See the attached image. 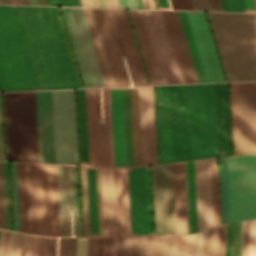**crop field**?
I'll list each match as a JSON object with an SVG mask.
<instances>
[{
	"label": "crop field",
	"mask_w": 256,
	"mask_h": 256,
	"mask_svg": "<svg viewBox=\"0 0 256 256\" xmlns=\"http://www.w3.org/2000/svg\"><path fill=\"white\" fill-rule=\"evenodd\" d=\"M160 164L219 156L215 84L155 86Z\"/></svg>",
	"instance_id": "crop-field-1"
},
{
	"label": "crop field",
	"mask_w": 256,
	"mask_h": 256,
	"mask_svg": "<svg viewBox=\"0 0 256 256\" xmlns=\"http://www.w3.org/2000/svg\"><path fill=\"white\" fill-rule=\"evenodd\" d=\"M143 166L157 164L152 86L138 87ZM112 166H142L137 87L108 88Z\"/></svg>",
	"instance_id": "crop-field-2"
},
{
	"label": "crop field",
	"mask_w": 256,
	"mask_h": 256,
	"mask_svg": "<svg viewBox=\"0 0 256 256\" xmlns=\"http://www.w3.org/2000/svg\"><path fill=\"white\" fill-rule=\"evenodd\" d=\"M16 7L39 88H80L57 7Z\"/></svg>",
	"instance_id": "crop-field-3"
},
{
	"label": "crop field",
	"mask_w": 256,
	"mask_h": 256,
	"mask_svg": "<svg viewBox=\"0 0 256 256\" xmlns=\"http://www.w3.org/2000/svg\"><path fill=\"white\" fill-rule=\"evenodd\" d=\"M20 232L60 236L56 165L16 163Z\"/></svg>",
	"instance_id": "crop-field-4"
},
{
	"label": "crop field",
	"mask_w": 256,
	"mask_h": 256,
	"mask_svg": "<svg viewBox=\"0 0 256 256\" xmlns=\"http://www.w3.org/2000/svg\"><path fill=\"white\" fill-rule=\"evenodd\" d=\"M209 13L228 80H256V14Z\"/></svg>",
	"instance_id": "crop-field-5"
},
{
	"label": "crop field",
	"mask_w": 256,
	"mask_h": 256,
	"mask_svg": "<svg viewBox=\"0 0 256 256\" xmlns=\"http://www.w3.org/2000/svg\"><path fill=\"white\" fill-rule=\"evenodd\" d=\"M94 13L115 85H130L123 61L118 54H127L128 60L125 61L132 84L148 85L126 11L94 9Z\"/></svg>",
	"instance_id": "crop-field-6"
},
{
	"label": "crop field",
	"mask_w": 256,
	"mask_h": 256,
	"mask_svg": "<svg viewBox=\"0 0 256 256\" xmlns=\"http://www.w3.org/2000/svg\"><path fill=\"white\" fill-rule=\"evenodd\" d=\"M11 7L0 6V88L38 90L16 10Z\"/></svg>",
	"instance_id": "crop-field-7"
},
{
	"label": "crop field",
	"mask_w": 256,
	"mask_h": 256,
	"mask_svg": "<svg viewBox=\"0 0 256 256\" xmlns=\"http://www.w3.org/2000/svg\"><path fill=\"white\" fill-rule=\"evenodd\" d=\"M7 160L38 162L34 92L3 93Z\"/></svg>",
	"instance_id": "crop-field-8"
},
{
	"label": "crop field",
	"mask_w": 256,
	"mask_h": 256,
	"mask_svg": "<svg viewBox=\"0 0 256 256\" xmlns=\"http://www.w3.org/2000/svg\"><path fill=\"white\" fill-rule=\"evenodd\" d=\"M231 222L256 217V153L227 157Z\"/></svg>",
	"instance_id": "crop-field-9"
},
{
	"label": "crop field",
	"mask_w": 256,
	"mask_h": 256,
	"mask_svg": "<svg viewBox=\"0 0 256 256\" xmlns=\"http://www.w3.org/2000/svg\"><path fill=\"white\" fill-rule=\"evenodd\" d=\"M234 154L256 152V82L230 83Z\"/></svg>",
	"instance_id": "crop-field-10"
},
{
	"label": "crop field",
	"mask_w": 256,
	"mask_h": 256,
	"mask_svg": "<svg viewBox=\"0 0 256 256\" xmlns=\"http://www.w3.org/2000/svg\"><path fill=\"white\" fill-rule=\"evenodd\" d=\"M56 163L78 164L74 90L51 91Z\"/></svg>",
	"instance_id": "crop-field-11"
},
{
	"label": "crop field",
	"mask_w": 256,
	"mask_h": 256,
	"mask_svg": "<svg viewBox=\"0 0 256 256\" xmlns=\"http://www.w3.org/2000/svg\"><path fill=\"white\" fill-rule=\"evenodd\" d=\"M161 12H162V16L164 19V23L166 26V30L168 33V37L170 40V44L173 50V54L175 57V61L178 67V71H179L182 83H196L197 81L206 82L203 71H202V67L199 61V57L197 54V50L194 44V40L192 37V33L189 27V23L186 17V13L177 11L180 22H181V26L183 29V33L185 36V40L188 46V50L190 53V57L192 60V64L195 70L197 81L193 71L189 53L186 47L182 29L179 23L177 12L176 11H161Z\"/></svg>",
	"instance_id": "crop-field-12"
},
{
	"label": "crop field",
	"mask_w": 256,
	"mask_h": 256,
	"mask_svg": "<svg viewBox=\"0 0 256 256\" xmlns=\"http://www.w3.org/2000/svg\"><path fill=\"white\" fill-rule=\"evenodd\" d=\"M84 87H104L81 8L60 7Z\"/></svg>",
	"instance_id": "crop-field-13"
},
{
	"label": "crop field",
	"mask_w": 256,
	"mask_h": 256,
	"mask_svg": "<svg viewBox=\"0 0 256 256\" xmlns=\"http://www.w3.org/2000/svg\"><path fill=\"white\" fill-rule=\"evenodd\" d=\"M128 180L131 232H136V235L148 234V231H152L149 170H144V167L132 169V172H128Z\"/></svg>",
	"instance_id": "crop-field-14"
},
{
	"label": "crop field",
	"mask_w": 256,
	"mask_h": 256,
	"mask_svg": "<svg viewBox=\"0 0 256 256\" xmlns=\"http://www.w3.org/2000/svg\"><path fill=\"white\" fill-rule=\"evenodd\" d=\"M98 96L103 124H95L97 118L95 89H88L92 165L111 166L107 88L98 89Z\"/></svg>",
	"instance_id": "crop-field-15"
},
{
	"label": "crop field",
	"mask_w": 256,
	"mask_h": 256,
	"mask_svg": "<svg viewBox=\"0 0 256 256\" xmlns=\"http://www.w3.org/2000/svg\"><path fill=\"white\" fill-rule=\"evenodd\" d=\"M61 236H71L70 213L74 207V236H81L77 166L57 165Z\"/></svg>",
	"instance_id": "crop-field-16"
},
{
	"label": "crop field",
	"mask_w": 256,
	"mask_h": 256,
	"mask_svg": "<svg viewBox=\"0 0 256 256\" xmlns=\"http://www.w3.org/2000/svg\"><path fill=\"white\" fill-rule=\"evenodd\" d=\"M155 234L175 233L171 164L152 167Z\"/></svg>",
	"instance_id": "crop-field-17"
},
{
	"label": "crop field",
	"mask_w": 256,
	"mask_h": 256,
	"mask_svg": "<svg viewBox=\"0 0 256 256\" xmlns=\"http://www.w3.org/2000/svg\"><path fill=\"white\" fill-rule=\"evenodd\" d=\"M142 14L161 83L180 82L163 23L155 22L152 10Z\"/></svg>",
	"instance_id": "crop-field-18"
},
{
	"label": "crop field",
	"mask_w": 256,
	"mask_h": 256,
	"mask_svg": "<svg viewBox=\"0 0 256 256\" xmlns=\"http://www.w3.org/2000/svg\"><path fill=\"white\" fill-rule=\"evenodd\" d=\"M207 82L224 81L204 12H186Z\"/></svg>",
	"instance_id": "crop-field-19"
},
{
	"label": "crop field",
	"mask_w": 256,
	"mask_h": 256,
	"mask_svg": "<svg viewBox=\"0 0 256 256\" xmlns=\"http://www.w3.org/2000/svg\"><path fill=\"white\" fill-rule=\"evenodd\" d=\"M39 162L55 163L50 91L35 92Z\"/></svg>",
	"instance_id": "crop-field-20"
},
{
	"label": "crop field",
	"mask_w": 256,
	"mask_h": 256,
	"mask_svg": "<svg viewBox=\"0 0 256 256\" xmlns=\"http://www.w3.org/2000/svg\"><path fill=\"white\" fill-rule=\"evenodd\" d=\"M198 231L212 228L209 159L194 161Z\"/></svg>",
	"instance_id": "crop-field-21"
},
{
	"label": "crop field",
	"mask_w": 256,
	"mask_h": 256,
	"mask_svg": "<svg viewBox=\"0 0 256 256\" xmlns=\"http://www.w3.org/2000/svg\"><path fill=\"white\" fill-rule=\"evenodd\" d=\"M104 236L119 235L115 168L100 167Z\"/></svg>",
	"instance_id": "crop-field-22"
},
{
	"label": "crop field",
	"mask_w": 256,
	"mask_h": 256,
	"mask_svg": "<svg viewBox=\"0 0 256 256\" xmlns=\"http://www.w3.org/2000/svg\"><path fill=\"white\" fill-rule=\"evenodd\" d=\"M220 156L231 155L227 83L216 84Z\"/></svg>",
	"instance_id": "crop-field-23"
},
{
	"label": "crop field",
	"mask_w": 256,
	"mask_h": 256,
	"mask_svg": "<svg viewBox=\"0 0 256 256\" xmlns=\"http://www.w3.org/2000/svg\"><path fill=\"white\" fill-rule=\"evenodd\" d=\"M176 233H187L183 163L172 164Z\"/></svg>",
	"instance_id": "crop-field-24"
},
{
	"label": "crop field",
	"mask_w": 256,
	"mask_h": 256,
	"mask_svg": "<svg viewBox=\"0 0 256 256\" xmlns=\"http://www.w3.org/2000/svg\"><path fill=\"white\" fill-rule=\"evenodd\" d=\"M154 235L118 237L117 256H153Z\"/></svg>",
	"instance_id": "crop-field-25"
},
{
	"label": "crop field",
	"mask_w": 256,
	"mask_h": 256,
	"mask_svg": "<svg viewBox=\"0 0 256 256\" xmlns=\"http://www.w3.org/2000/svg\"><path fill=\"white\" fill-rule=\"evenodd\" d=\"M87 169H95V167H87ZM87 175L91 233H99L95 170H87ZM91 236H99V234H91Z\"/></svg>",
	"instance_id": "crop-field-26"
},
{
	"label": "crop field",
	"mask_w": 256,
	"mask_h": 256,
	"mask_svg": "<svg viewBox=\"0 0 256 256\" xmlns=\"http://www.w3.org/2000/svg\"><path fill=\"white\" fill-rule=\"evenodd\" d=\"M226 225L208 230L207 256H225Z\"/></svg>",
	"instance_id": "crop-field-27"
},
{
	"label": "crop field",
	"mask_w": 256,
	"mask_h": 256,
	"mask_svg": "<svg viewBox=\"0 0 256 256\" xmlns=\"http://www.w3.org/2000/svg\"><path fill=\"white\" fill-rule=\"evenodd\" d=\"M81 159L88 160L84 90H77Z\"/></svg>",
	"instance_id": "crop-field-28"
},
{
	"label": "crop field",
	"mask_w": 256,
	"mask_h": 256,
	"mask_svg": "<svg viewBox=\"0 0 256 256\" xmlns=\"http://www.w3.org/2000/svg\"><path fill=\"white\" fill-rule=\"evenodd\" d=\"M5 229L12 230L8 162H1Z\"/></svg>",
	"instance_id": "crop-field-29"
},
{
	"label": "crop field",
	"mask_w": 256,
	"mask_h": 256,
	"mask_svg": "<svg viewBox=\"0 0 256 256\" xmlns=\"http://www.w3.org/2000/svg\"><path fill=\"white\" fill-rule=\"evenodd\" d=\"M223 224L230 222L226 157L219 158Z\"/></svg>",
	"instance_id": "crop-field-30"
},
{
	"label": "crop field",
	"mask_w": 256,
	"mask_h": 256,
	"mask_svg": "<svg viewBox=\"0 0 256 256\" xmlns=\"http://www.w3.org/2000/svg\"><path fill=\"white\" fill-rule=\"evenodd\" d=\"M193 234L171 235L170 256H192Z\"/></svg>",
	"instance_id": "crop-field-31"
},
{
	"label": "crop field",
	"mask_w": 256,
	"mask_h": 256,
	"mask_svg": "<svg viewBox=\"0 0 256 256\" xmlns=\"http://www.w3.org/2000/svg\"><path fill=\"white\" fill-rule=\"evenodd\" d=\"M120 235H127L123 169L116 168Z\"/></svg>",
	"instance_id": "crop-field-32"
},
{
	"label": "crop field",
	"mask_w": 256,
	"mask_h": 256,
	"mask_svg": "<svg viewBox=\"0 0 256 256\" xmlns=\"http://www.w3.org/2000/svg\"><path fill=\"white\" fill-rule=\"evenodd\" d=\"M241 222L227 225L226 256H240Z\"/></svg>",
	"instance_id": "crop-field-33"
},
{
	"label": "crop field",
	"mask_w": 256,
	"mask_h": 256,
	"mask_svg": "<svg viewBox=\"0 0 256 256\" xmlns=\"http://www.w3.org/2000/svg\"><path fill=\"white\" fill-rule=\"evenodd\" d=\"M57 237L39 236L38 256H56ZM64 238L60 237L59 256H63Z\"/></svg>",
	"instance_id": "crop-field-34"
},
{
	"label": "crop field",
	"mask_w": 256,
	"mask_h": 256,
	"mask_svg": "<svg viewBox=\"0 0 256 256\" xmlns=\"http://www.w3.org/2000/svg\"><path fill=\"white\" fill-rule=\"evenodd\" d=\"M191 232L197 230L193 161L187 162Z\"/></svg>",
	"instance_id": "crop-field-35"
},
{
	"label": "crop field",
	"mask_w": 256,
	"mask_h": 256,
	"mask_svg": "<svg viewBox=\"0 0 256 256\" xmlns=\"http://www.w3.org/2000/svg\"><path fill=\"white\" fill-rule=\"evenodd\" d=\"M128 11H129L130 18H131V21H132V24H133V28H134V31H135V34H136V38H137V41H138V44H139V48H140V51H141V54H142V57H143V61H144L145 67H146V71H147V74H148V77H149L150 84L151 85L156 84L153 73H152V69H151V66H150V62H149V59H148V56H147V52H146V49H145V45H144V42H143V38H142V35H141V32H140L138 21H137L136 15H135V11L134 10H128Z\"/></svg>",
	"instance_id": "crop-field-36"
},
{
	"label": "crop field",
	"mask_w": 256,
	"mask_h": 256,
	"mask_svg": "<svg viewBox=\"0 0 256 256\" xmlns=\"http://www.w3.org/2000/svg\"><path fill=\"white\" fill-rule=\"evenodd\" d=\"M84 236H90L86 167L80 166Z\"/></svg>",
	"instance_id": "crop-field-37"
},
{
	"label": "crop field",
	"mask_w": 256,
	"mask_h": 256,
	"mask_svg": "<svg viewBox=\"0 0 256 256\" xmlns=\"http://www.w3.org/2000/svg\"><path fill=\"white\" fill-rule=\"evenodd\" d=\"M214 227L220 225L216 159H210Z\"/></svg>",
	"instance_id": "crop-field-38"
},
{
	"label": "crop field",
	"mask_w": 256,
	"mask_h": 256,
	"mask_svg": "<svg viewBox=\"0 0 256 256\" xmlns=\"http://www.w3.org/2000/svg\"><path fill=\"white\" fill-rule=\"evenodd\" d=\"M10 256H28V235L11 232Z\"/></svg>",
	"instance_id": "crop-field-39"
},
{
	"label": "crop field",
	"mask_w": 256,
	"mask_h": 256,
	"mask_svg": "<svg viewBox=\"0 0 256 256\" xmlns=\"http://www.w3.org/2000/svg\"><path fill=\"white\" fill-rule=\"evenodd\" d=\"M110 86H115L92 8H87Z\"/></svg>",
	"instance_id": "crop-field-40"
},
{
	"label": "crop field",
	"mask_w": 256,
	"mask_h": 256,
	"mask_svg": "<svg viewBox=\"0 0 256 256\" xmlns=\"http://www.w3.org/2000/svg\"><path fill=\"white\" fill-rule=\"evenodd\" d=\"M82 9H83V13H84L85 20H86V23H87V27H88V30H89V34H90V37H91V41H92V44H93V47H94V51H95V54H96V58H97V61H98V65H99V68H100L102 79H103V82H104V86L107 87V86H109L108 81H107L106 74H105V71H104V68H103V64H102L101 57H100V54H99V50H98V47H97V44H96V40H95V37H94L92 26H91V23H90V20H89L87 9L86 8H82Z\"/></svg>",
	"instance_id": "crop-field-41"
},
{
	"label": "crop field",
	"mask_w": 256,
	"mask_h": 256,
	"mask_svg": "<svg viewBox=\"0 0 256 256\" xmlns=\"http://www.w3.org/2000/svg\"><path fill=\"white\" fill-rule=\"evenodd\" d=\"M250 220L242 222L241 256H249Z\"/></svg>",
	"instance_id": "crop-field-42"
},
{
	"label": "crop field",
	"mask_w": 256,
	"mask_h": 256,
	"mask_svg": "<svg viewBox=\"0 0 256 256\" xmlns=\"http://www.w3.org/2000/svg\"><path fill=\"white\" fill-rule=\"evenodd\" d=\"M15 231L19 232L15 163L11 162Z\"/></svg>",
	"instance_id": "crop-field-43"
},
{
	"label": "crop field",
	"mask_w": 256,
	"mask_h": 256,
	"mask_svg": "<svg viewBox=\"0 0 256 256\" xmlns=\"http://www.w3.org/2000/svg\"><path fill=\"white\" fill-rule=\"evenodd\" d=\"M136 14H137L139 25H140L142 35H143V38H144L146 49H147V52H148V55H149V59H150V62H151L153 73H154V76H155V79H156V83L160 84L159 78H158V75H157V71H156V68H155L154 60H153V57H152V53H151V50H150V46H149V43H148V39H147V36H146L145 28H144V25H143V21H142V18H141V14L140 13H136Z\"/></svg>",
	"instance_id": "crop-field-44"
},
{
	"label": "crop field",
	"mask_w": 256,
	"mask_h": 256,
	"mask_svg": "<svg viewBox=\"0 0 256 256\" xmlns=\"http://www.w3.org/2000/svg\"><path fill=\"white\" fill-rule=\"evenodd\" d=\"M207 230L198 233L197 256H206Z\"/></svg>",
	"instance_id": "crop-field-45"
},
{
	"label": "crop field",
	"mask_w": 256,
	"mask_h": 256,
	"mask_svg": "<svg viewBox=\"0 0 256 256\" xmlns=\"http://www.w3.org/2000/svg\"><path fill=\"white\" fill-rule=\"evenodd\" d=\"M224 11H244L241 0H221Z\"/></svg>",
	"instance_id": "crop-field-46"
},
{
	"label": "crop field",
	"mask_w": 256,
	"mask_h": 256,
	"mask_svg": "<svg viewBox=\"0 0 256 256\" xmlns=\"http://www.w3.org/2000/svg\"><path fill=\"white\" fill-rule=\"evenodd\" d=\"M10 232L1 230L0 256H9Z\"/></svg>",
	"instance_id": "crop-field-47"
},
{
	"label": "crop field",
	"mask_w": 256,
	"mask_h": 256,
	"mask_svg": "<svg viewBox=\"0 0 256 256\" xmlns=\"http://www.w3.org/2000/svg\"><path fill=\"white\" fill-rule=\"evenodd\" d=\"M250 256H256V219L251 220Z\"/></svg>",
	"instance_id": "crop-field-48"
},
{
	"label": "crop field",
	"mask_w": 256,
	"mask_h": 256,
	"mask_svg": "<svg viewBox=\"0 0 256 256\" xmlns=\"http://www.w3.org/2000/svg\"><path fill=\"white\" fill-rule=\"evenodd\" d=\"M100 236H103L99 167H96Z\"/></svg>",
	"instance_id": "crop-field-49"
},
{
	"label": "crop field",
	"mask_w": 256,
	"mask_h": 256,
	"mask_svg": "<svg viewBox=\"0 0 256 256\" xmlns=\"http://www.w3.org/2000/svg\"><path fill=\"white\" fill-rule=\"evenodd\" d=\"M76 238H65L64 256H75Z\"/></svg>",
	"instance_id": "crop-field-50"
},
{
	"label": "crop field",
	"mask_w": 256,
	"mask_h": 256,
	"mask_svg": "<svg viewBox=\"0 0 256 256\" xmlns=\"http://www.w3.org/2000/svg\"><path fill=\"white\" fill-rule=\"evenodd\" d=\"M170 235H161L160 256H169Z\"/></svg>",
	"instance_id": "crop-field-51"
},
{
	"label": "crop field",
	"mask_w": 256,
	"mask_h": 256,
	"mask_svg": "<svg viewBox=\"0 0 256 256\" xmlns=\"http://www.w3.org/2000/svg\"><path fill=\"white\" fill-rule=\"evenodd\" d=\"M173 9L193 10L190 0H170Z\"/></svg>",
	"instance_id": "crop-field-52"
},
{
	"label": "crop field",
	"mask_w": 256,
	"mask_h": 256,
	"mask_svg": "<svg viewBox=\"0 0 256 256\" xmlns=\"http://www.w3.org/2000/svg\"><path fill=\"white\" fill-rule=\"evenodd\" d=\"M87 238H77L76 256H86Z\"/></svg>",
	"instance_id": "crop-field-53"
},
{
	"label": "crop field",
	"mask_w": 256,
	"mask_h": 256,
	"mask_svg": "<svg viewBox=\"0 0 256 256\" xmlns=\"http://www.w3.org/2000/svg\"><path fill=\"white\" fill-rule=\"evenodd\" d=\"M38 236L29 235V256H37Z\"/></svg>",
	"instance_id": "crop-field-54"
},
{
	"label": "crop field",
	"mask_w": 256,
	"mask_h": 256,
	"mask_svg": "<svg viewBox=\"0 0 256 256\" xmlns=\"http://www.w3.org/2000/svg\"><path fill=\"white\" fill-rule=\"evenodd\" d=\"M194 10H211L208 0H191Z\"/></svg>",
	"instance_id": "crop-field-55"
},
{
	"label": "crop field",
	"mask_w": 256,
	"mask_h": 256,
	"mask_svg": "<svg viewBox=\"0 0 256 256\" xmlns=\"http://www.w3.org/2000/svg\"><path fill=\"white\" fill-rule=\"evenodd\" d=\"M124 177H125V194H126V210H127V227H128V235H130L127 169H124Z\"/></svg>",
	"instance_id": "crop-field-56"
},
{
	"label": "crop field",
	"mask_w": 256,
	"mask_h": 256,
	"mask_svg": "<svg viewBox=\"0 0 256 256\" xmlns=\"http://www.w3.org/2000/svg\"><path fill=\"white\" fill-rule=\"evenodd\" d=\"M97 238H88L87 256H96Z\"/></svg>",
	"instance_id": "crop-field-57"
},
{
	"label": "crop field",
	"mask_w": 256,
	"mask_h": 256,
	"mask_svg": "<svg viewBox=\"0 0 256 256\" xmlns=\"http://www.w3.org/2000/svg\"><path fill=\"white\" fill-rule=\"evenodd\" d=\"M0 152H1V160H4L1 93H0Z\"/></svg>",
	"instance_id": "crop-field-58"
},
{
	"label": "crop field",
	"mask_w": 256,
	"mask_h": 256,
	"mask_svg": "<svg viewBox=\"0 0 256 256\" xmlns=\"http://www.w3.org/2000/svg\"><path fill=\"white\" fill-rule=\"evenodd\" d=\"M120 7L140 8L138 0H118Z\"/></svg>",
	"instance_id": "crop-field-59"
},
{
	"label": "crop field",
	"mask_w": 256,
	"mask_h": 256,
	"mask_svg": "<svg viewBox=\"0 0 256 256\" xmlns=\"http://www.w3.org/2000/svg\"><path fill=\"white\" fill-rule=\"evenodd\" d=\"M85 98H86V116H87L88 152H89V162H91V155H90V133H89L88 105H87V89L85 90Z\"/></svg>",
	"instance_id": "crop-field-60"
},
{
	"label": "crop field",
	"mask_w": 256,
	"mask_h": 256,
	"mask_svg": "<svg viewBox=\"0 0 256 256\" xmlns=\"http://www.w3.org/2000/svg\"><path fill=\"white\" fill-rule=\"evenodd\" d=\"M0 220H1V228L4 229L3 204H2V187H1V170H0Z\"/></svg>",
	"instance_id": "crop-field-61"
},
{
	"label": "crop field",
	"mask_w": 256,
	"mask_h": 256,
	"mask_svg": "<svg viewBox=\"0 0 256 256\" xmlns=\"http://www.w3.org/2000/svg\"><path fill=\"white\" fill-rule=\"evenodd\" d=\"M256 8V0H253ZM252 0H242L244 8H250V9H255L254 4ZM245 11H252L256 12V10H249V9H244Z\"/></svg>",
	"instance_id": "crop-field-62"
},
{
	"label": "crop field",
	"mask_w": 256,
	"mask_h": 256,
	"mask_svg": "<svg viewBox=\"0 0 256 256\" xmlns=\"http://www.w3.org/2000/svg\"><path fill=\"white\" fill-rule=\"evenodd\" d=\"M111 237H105L104 256H110Z\"/></svg>",
	"instance_id": "crop-field-63"
},
{
	"label": "crop field",
	"mask_w": 256,
	"mask_h": 256,
	"mask_svg": "<svg viewBox=\"0 0 256 256\" xmlns=\"http://www.w3.org/2000/svg\"><path fill=\"white\" fill-rule=\"evenodd\" d=\"M49 5L70 6L68 0H48Z\"/></svg>",
	"instance_id": "crop-field-64"
},
{
	"label": "crop field",
	"mask_w": 256,
	"mask_h": 256,
	"mask_svg": "<svg viewBox=\"0 0 256 256\" xmlns=\"http://www.w3.org/2000/svg\"><path fill=\"white\" fill-rule=\"evenodd\" d=\"M209 2L212 10L223 11L220 0H209Z\"/></svg>",
	"instance_id": "crop-field-65"
},
{
	"label": "crop field",
	"mask_w": 256,
	"mask_h": 256,
	"mask_svg": "<svg viewBox=\"0 0 256 256\" xmlns=\"http://www.w3.org/2000/svg\"><path fill=\"white\" fill-rule=\"evenodd\" d=\"M104 237L98 238L97 256H103Z\"/></svg>",
	"instance_id": "crop-field-66"
},
{
	"label": "crop field",
	"mask_w": 256,
	"mask_h": 256,
	"mask_svg": "<svg viewBox=\"0 0 256 256\" xmlns=\"http://www.w3.org/2000/svg\"><path fill=\"white\" fill-rule=\"evenodd\" d=\"M0 3L30 4V3H29V0H0Z\"/></svg>",
	"instance_id": "crop-field-67"
},
{
	"label": "crop field",
	"mask_w": 256,
	"mask_h": 256,
	"mask_svg": "<svg viewBox=\"0 0 256 256\" xmlns=\"http://www.w3.org/2000/svg\"><path fill=\"white\" fill-rule=\"evenodd\" d=\"M159 246H160V235H155V252H154V256H159Z\"/></svg>",
	"instance_id": "crop-field-68"
},
{
	"label": "crop field",
	"mask_w": 256,
	"mask_h": 256,
	"mask_svg": "<svg viewBox=\"0 0 256 256\" xmlns=\"http://www.w3.org/2000/svg\"><path fill=\"white\" fill-rule=\"evenodd\" d=\"M142 3L144 8L155 9L152 0H142Z\"/></svg>",
	"instance_id": "crop-field-69"
},
{
	"label": "crop field",
	"mask_w": 256,
	"mask_h": 256,
	"mask_svg": "<svg viewBox=\"0 0 256 256\" xmlns=\"http://www.w3.org/2000/svg\"><path fill=\"white\" fill-rule=\"evenodd\" d=\"M157 1V0H156ZM159 1V5L160 6H169L168 5V2H167V0H158ZM158 1H157V4H158ZM159 5H158V8L159 9H171L170 7H159Z\"/></svg>",
	"instance_id": "crop-field-70"
},
{
	"label": "crop field",
	"mask_w": 256,
	"mask_h": 256,
	"mask_svg": "<svg viewBox=\"0 0 256 256\" xmlns=\"http://www.w3.org/2000/svg\"><path fill=\"white\" fill-rule=\"evenodd\" d=\"M108 7H119L117 0H106Z\"/></svg>",
	"instance_id": "crop-field-71"
},
{
	"label": "crop field",
	"mask_w": 256,
	"mask_h": 256,
	"mask_svg": "<svg viewBox=\"0 0 256 256\" xmlns=\"http://www.w3.org/2000/svg\"><path fill=\"white\" fill-rule=\"evenodd\" d=\"M197 233L194 234L193 256H196Z\"/></svg>",
	"instance_id": "crop-field-72"
},
{
	"label": "crop field",
	"mask_w": 256,
	"mask_h": 256,
	"mask_svg": "<svg viewBox=\"0 0 256 256\" xmlns=\"http://www.w3.org/2000/svg\"><path fill=\"white\" fill-rule=\"evenodd\" d=\"M87 1H88V5H89V6H92V7H99L97 0H87Z\"/></svg>",
	"instance_id": "crop-field-73"
},
{
	"label": "crop field",
	"mask_w": 256,
	"mask_h": 256,
	"mask_svg": "<svg viewBox=\"0 0 256 256\" xmlns=\"http://www.w3.org/2000/svg\"><path fill=\"white\" fill-rule=\"evenodd\" d=\"M71 6H81L79 0H69Z\"/></svg>",
	"instance_id": "crop-field-74"
},
{
	"label": "crop field",
	"mask_w": 256,
	"mask_h": 256,
	"mask_svg": "<svg viewBox=\"0 0 256 256\" xmlns=\"http://www.w3.org/2000/svg\"><path fill=\"white\" fill-rule=\"evenodd\" d=\"M98 2H99L100 7H107L106 3H105V0H98Z\"/></svg>",
	"instance_id": "crop-field-75"
},
{
	"label": "crop field",
	"mask_w": 256,
	"mask_h": 256,
	"mask_svg": "<svg viewBox=\"0 0 256 256\" xmlns=\"http://www.w3.org/2000/svg\"><path fill=\"white\" fill-rule=\"evenodd\" d=\"M38 5H46L45 0H37Z\"/></svg>",
	"instance_id": "crop-field-76"
},
{
	"label": "crop field",
	"mask_w": 256,
	"mask_h": 256,
	"mask_svg": "<svg viewBox=\"0 0 256 256\" xmlns=\"http://www.w3.org/2000/svg\"><path fill=\"white\" fill-rule=\"evenodd\" d=\"M116 248H117V237H115V249H114V256H116Z\"/></svg>",
	"instance_id": "crop-field-77"
},
{
	"label": "crop field",
	"mask_w": 256,
	"mask_h": 256,
	"mask_svg": "<svg viewBox=\"0 0 256 256\" xmlns=\"http://www.w3.org/2000/svg\"><path fill=\"white\" fill-rule=\"evenodd\" d=\"M113 248H114V237H112V249H111V256H113Z\"/></svg>",
	"instance_id": "crop-field-78"
},
{
	"label": "crop field",
	"mask_w": 256,
	"mask_h": 256,
	"mask_svg": "<svg viewBox=\"0 0 256 256\" xmlns=\"http://www.w3.org/2000/svg\"><path fill=\"white\" fill-rule=\"evenodd\" d=\"M80 1H81V5H82V6H88L86 0H80Z\"/></svg>",
	"instance_id": "crop-field-79"
},
{
	"label": "crop field",
	"mask_w": 256,
	"mask_h": 256,
	"mask_svg": "<svg viewBox=\"0 0 256 256\" xmlns=\"http://www.w3.org/2000/svg\"><path fill=\"white\" fill-rule=\"evenodd\" d=\"M30 3H31V4H34V5H37V4H36V0H30Z\"/></svg>",
	"instance_id": "crop-field-80"
}]
</instances>
